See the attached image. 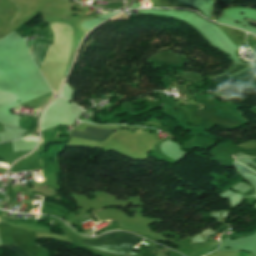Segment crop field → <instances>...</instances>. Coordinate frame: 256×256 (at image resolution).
Masks as SVG:
<instances>
[{
  "label": "crop field",
  "mask_w": 256,
  "mask_h": 256,
  "mask_svg": "<svg viewBox=\"0 0 256 256\" xmlns=\"http://www.w3.org/2000/svg\"><path fill=\"white\" fill-rule=\"evenodd\" d=\"M2 247L7 248L8 250H10L11 252H13L14 254H16L17 256H30L28 253H26L24 250L20 249L17 246H10L8 244H4Z\"/></svg>",
  "instance_id": "obj_4"
},
{
  "label": "crop field",
  "mask_w": 256,
  "mask_h": 256,
  "mask_svg": "<svg viewBox=\"0 0 256 256\" xmlns=\"http://www.w3.org/2000/svg\"><path fill=\"white\" fill-rule=\"evenodd\" d=\"M143 239L124 232H113L100 236L95 240L84 239L83 243L91 248L106 251L112 254L135 255L134 246ZM85 245V246H86Z\"/></svg>",
  "instance_id": "obj_2"
},
{
  "label": "crop field",
  "mask_w": 256,
  "mask_h": 256,
  "mask_svg": "<svg viewBox=\"0 0 256 256\" xmlns=\"http://www.w3.org/2000/svg\"><path fill=\"white\" fill-rule=\"evenodd\" d=\"M252 161L256 163V160H255V159H254V160H252Z\"/></svg>",
  "instance_id": "obj_5"
},
{
  "label": "crop field",
  "mask_w": 256,
  "mask_h": 256,
  "mask_svg": "<svg viewBox=\"0 0 256 256\" xmlns=\"http://www.w3.org/2000/svg\"><path fill=\"white\" fill-rule=\"evenodd\" d=\"M111 133L112 130L104 129H95L86 127L84 132L73 130L71 137L79 138L83 140L102 142L104 141Z\"/></svg>",
  "instance_id": "obj_3"
},
{
  "label": "crop field",
  "mask_w": 256,
  "mask_h": 256,
  "mask_svg": "<svg viewBox=\"0 0 256 256\" xmlns=\"http://www.w3.org/2000/svg\"><path fill=\"white\" fill-rule=\"evenodd\" d=\"M49 25L54 34V46L49 45L41 71L58 95L65 76L72 30L66 23Z\"/></svg>",
  "instance_id": "obj_1"
}]
</instances>
